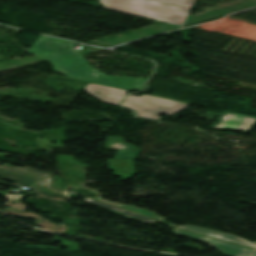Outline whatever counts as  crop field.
I'll list each match as a JSON object with an SVG mask.
<instances>
[{"instance_id": "crop-field-16", "label": "crop field", "mask_w": 256, "mask_h": 256, "mask_svg": "<svg viewBox=\"0 0 256 256\" xmlns=\"http://www.w3.org/2000/svg\"><path fill=\"white\" fill-rule=\"evenodd\" d=\"M27 246H29V247H36V248H43V249L59 250V248H54V247H49V246H43V245H39V246L27 245Z\"/></svg>"}, {"instance_id": "crop-field-8", "label": "crop field", "mask_w": 256, "mask_h": 256, "mask_svg": "<svg viewBox=\"0 0 256 256\" xmlns=\"http://www.w3.org/2000/svg\"><path fill=\"white\" fill-rule=\"evenodd\" d=\"M100 100L117 105L126 90L88 83L84 88Z\"/></svg>"}, {"instance_id": "crop-field-13", "label": "crop field", "mask_w": 256, "mask_h": 256, "mask_svg": "<svg viewBox=\"0 0 256 256\" xmlns=\"http://www.w3.org/2000/svg\"><path fill=\"white\" fill-rule=\"evenodd\" d=\"M102 200V199H100ZM102 201H105V200H102ZM105 202H108V203H111V204H115V205H118V206H121V207H124V208H127L129 210H132V211H135V212H138V213H141V214H144V215H147V216H150L156 220H159V221H162L164 220L163 218L151 213V212H148V211H145V210H141V209H138V208H134V207H129V206H124V205H120V204H116V203H113V202H109V201H105Z\"/></svg>"}, {"instance_id": "crop-field-3", "label": "crop field", "mask_w": 256, "mask_h": 256, "mask_svg": "<svg viewBox=\"0 0 256 256\" xmlns=\"http://www.w3.org/2000/svg\"><path fill=\"white\" fill-rule=\"evenodd\" d=\"M0 166V176L2 179L16 182V186L31 187L36 193L53 200H64L66 197L61 190L54 189L51 186V176L36 170L34 168H19L8 164ZM2 182L0 184L5 183Z\"/></svg>"}, {"instance_id": "crop-field-17", "label": "crop field", "mask_w": 256, "mask_h": 256, "mask_svg": "<svg viewBox=\"0 0 256 256\" xmlns=\"http://www.w3.org/2000/svg\"><path fill=\"white\" fill-rule=\"evenodd\" d=\"M56 187L63 188L64 185L62 184V179H60L58 176H56V182H55Z\"/></svg>"}, {"instance_id": "crop-field-2", "label": "crop field", "mask_w": 256, "mask_h": 256, "mask_svg": "<svg viewBox=\"0 0 256 256\" xmlns=\"http://www.w3.org/2000/svg\"><path fill=\"white\" fill-rule=\"evenodd\" d=\"M105 8L183 25L191 9L154 0H99ZM148 12V14L143 13Z\"/></svg>"}, {"instance_id": "crop-field-10", "label": "crop field", "mask_w": 256, "mask_h": 256, "mask_svg": "<svg viewBox=\"0 0 256 256\" xmlns=\"http://www.w3.org/2000/svg\"><path fill=\"white\" fill-rule=\"evenodd\" d=\"M107 149L119 150L117 158H129V159H136L139 154L138 148L126 143L122 142L120 138L108 137Z\"/></svg>"}, {"instance_id": "crop-field-1", "label": "crop field", "mask_w": 256, "mask_h": 256, "mask_svg": "<svg viewBox=\"0 0 256 256\" xmlns=\"http://www.w3.org/2000/svg\"><path fill=\"white\" fill-rule=\"evenodd\" d=\"M76 43L41 35L27 52L41 56L54 64V70L68 77L118 87L141 90L146 79L112 77L100 73L74 49Z\"/></svg>"}, {"instance_id": "crop-field-4", "label": "crop field", "mask_w": 256, "mask_h": 256, "mask_svg": "<svg viewBox=\"0 0 256 256\" xmlns=\"http://www.w3.org/2000/svg\"><path fill=\"white\" fill-rule=\"evenodd\" d=\"M122 105L134 110L140 117L160 120L159 116L162 113L172 115L186 108L188 104L147 95L141 97L129 95Z\"/></svg>"}, {"instance_id": "crop-field-6", "label": "crop field", "mask_w": 256, "mask_h": 256, "mask_svg": "<svg viewBox=\"0 0 256 256\" xmlns=\"http://www.w3.org/2000/svg\"><path fill=\"white\" fill-rule=\"evenodd\" d=\"M8 197L10 199V202L7 204V207L20 209V210H23V212L8 209V208L2 210L1 212L24 217V218L36 219L38 226L47 230L60 232L65 229V226L60 224H54L33 212H25L26 206L21 201L22 195L8 194Z\"/></svg>"}, {"instance_id": "crop-field-12", "label": "crop field", "mask_w": 256, "mask_h": 256, "mask_svg": "<svg viewBox=\"0 0 256 256\" xmlns=\"http://www.w3.org/2000/svg\"><path fill=\"white\" fill-rule=\"evenodd\" d=\"M86 200H88V201H90V202H92L94 204H97V205H99V206H101L103 208H106L108 210L116 212V213H118L120 215H123L125 217H129V218H133V219L138 220V221H143V222H155L156 221V220L153 221V220H151V219H149L147 217H144V216H141V215H137V214L131 213L129 211H126V210H123V209H120V208H117V207L105 204V203L98 202V201L90 199V198H88Z\"/></svg>"}, {"instance_id": "crop-field-7", "label": "crop field", "mask_w": 256, "mask_h": 256, "mask_svg": "<svg viewBox=\"0 0 256 256\" xmlns=\"http://www.w3.org/2000/svg\"><path fill=\"white\" fill-rule=\"evenodd\" d=\"M255 125V118L224 112L210 128H232L250 131Z\"/></svg>"}, {"instance_id": "crop-field-9", "label": "crop field", "mask_w": 256, "mask_h": 256, "mask_svg": "<svg viewBox=\"0 0 256 256\" xmlns=\"http://www.w3.org/2000/svg\"><path fill=\"white\" fill-rule=\"evenodd\" d=\"M108 164L109 170L115 171L114 174L121 177V181H126L137 174L134 160L108 159Z\"/></svg>"}, {"instance_id": "crop-field-18", "label": "crop field", "mask_w": 256, "mask_h": 256, "mask_svg": "<svg viewBox=\"0 0 256 256\" xmlns=\"http://www.w3.org/2000/svg\"><path fill=\"white\" fill-rule=\"evenodd\" d=\"M0 157H2L1 160H5L4 155L2 153H0Z\"/></svg>"}, {"instance_id": "crop-field-19", "label": "crop field", "mask_w": 256, "mask_h": 256, "mask_svg": "<svg viewBox=\"0 0 256 256\" xmlns=\"http://www.w3.org/2000/svg\"><path fill=\"white\" fill-rule=\"evenodd\" d=\"M0 194H4V192L0 191Z\"/></svg>"}, {"instance_id": "crop-field-11", "label": "crop field", "mask_w": 256, "mask_h": 256, "mask_svg": "<svg viewBox=\"0 0 256 256\" xmlns=\"http://www.w3.org/2000/svg\"><path fill=\"white\" fill-rule=\"evenodd\" d=\"M178 227L184 228V229H187V230H191V231H194V232H197V233H201V234H205V235H209V236H213V237H217V238L237 242V243H240V244L252 246V247L256 248V244H254L250 241L244 240L242 238L236 237V236L231 235V234L218 232V231H213V230L204 229V228H199V227H193V226H178Z\"/></svg>"}, {"instance_id": "crop-field-5", "label": "crop field", "mask_w": 256, "mask_h": 256, "mask_svg": "<svg viewBox=\"0 0 256 256\" xmlns=\"http://www.w3.org/2000/svg\"><path fill=\"white\" fill-rule=\"evenodd\" d=\"M174 231H175V234L178 236L211 243L213 246H215L218 249L220 253H222L225 256H254L256 253V250L248 249L235 244L207 238L204 236L189 233V232L182 231L175 228H174Z\"/></svg>"}, {"instance_id": "crop-field-14", "label": "crop field", "mask_w": 256, "mask_h": 256, "mask_svg": "<svg viewBox=\"0 0 256 256\" xmlns=\"http://www.w3.org/2000/svg\"><path fill=\"white\" fill-rule=\"evenodd\" d=\"M159 1H164V2H169V3H174L178 5H183L192 8L195 0H159Z\"/></svg>"}, {"instance_id": "crop-field-15", "label": "crop field", "mask_w": 256, "mask_h": 256, "mask_svg": "<svg viewBox=\"0 0 256 256\" xmlns=\"http://www.w3.org/2000/svg\"><path fill=\"white\" fill-rule=\"evenodd\" d=\"M59 238H60L59 236H55V237H54L55 241H60ZM61 238H62V237H61ZM66 241H67V240H65V239L62 238L63 246L67 247V245H69V250H70V251H80V250H79V246H78L77 243L71 242V241L66 242ZM75 246H78V248L76 249Z\"/></svg>"}]
</instances>
